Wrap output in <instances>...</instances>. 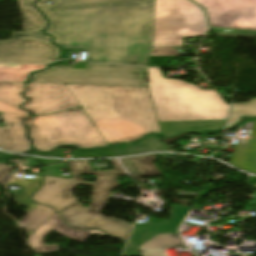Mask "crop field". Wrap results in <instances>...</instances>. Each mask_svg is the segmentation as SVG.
Wrapping results in <instances>:
<instances>
[{"label": "crop field", "mask_w": 256, "mask_h": 256, "mask_svg": "<svg viewBox=\"0 0 256 256\" xmlns=\"http://www.w3.org/2000/svg\"><path fill=\"white\" fill-rule=\"evenodd\" d=\"M123 256H142L139 252L133 250V245L128 244Z\"/></svg>", "instance_id": "crop-field-30"}, {"label": "crop field", "mask_w": 256, "mask_h": 256, "mask_svg": "<svg viewBox=\"0 0 256 256\" xmlns=\"http://www.w3.org/2000/svg\"><path fill=\"white\" fill-rule=\"evenodd\" d=\"M1 163H7V161L6 160H0V164Z\"/></svg>", "instance_id": "crop-field-34"}, {"label": "crop field", "mask_w": 256, "mask_h": 256, "mask_svg": "<svg viewBox=\"0 0 256 256\" xmlns=\"http://www.w3.org/2000/svg\"><path fill=\"white\" fill-rule=\"evenodd\" d=\"M13 170V167H6L0 165V185H5L6 182L11 178L12 174L10 172Z\"/></svg>", "instance_id": "crop-field-28"}, {"label": "crop field", "mask_w": 256, "mask_h": 256, "mask_svg": "<svg viewBox=\"0 0 256 256\" xmlns=\"http://www.w3.org/2000/svg\"><path fill=\"white\" fill-rule=\"evenodd\" d=\"M4 157H13V155H8V154L0 153V158H4Z\"/></svg>", "instance_id": "crop-field-33"}, {"label": "crop field", "mask_w": 256, "mask_h": 256, "mask_svg": "<svg viewBox=\"0 0 256 256\" xmlns=\"http://www.w3.org/2000/svg\"><path fill=\"white\" fill-rule=\"evenodd\" d=\"M30 154H33V155H43V156L63 157L62 154H61L60 149H56V150H54L51 153H39L38 151H34V152L30 153Z\"/></svg>", "instance_id": "crop-field-29"}, {"label": "crop field", "mask_w": 256, "mask_h": 256, "mask_svg": "<svg viewBox=\"0 0 256 256\" xmlns=\"http://www.w3.org/2000/svg\"><path fill=\"white\" fill-rule=\"evenodd\" d=\"M25 83H1L0 82V112H12L31 114L19 110V105L26 99L21 98Z\"/></svg>", "instance_id": "crop-field-16"}, {"label": "crop field", "mask_w": 256, "mask_h": 256, "mask_svg": "<svg viewBox=\"0 0 256 256\" xmlns=\"http://www.w3.org/2000/svg\"><path fill=\"white\" fill-rule=\"evenodd\" d=\"M34 5L51 23L45 33L62 49H87L86 61L148 65L154 0L52 9Z\"/></svg>", "instance_id": "crop-field-1"}, {"label": "crop field", "mask_w": 256, "mask_h": 256, "mask_svg": "<svg viewBox=\"0 0 256 256\" xmlns=\"http://www.w3.org/2000/svg\"><path fill=\"white\" fill-rule=\"evenodd\" d=\"M37 160L44 165L59 162V160H50V159H37Z\"/></svg>", "instance_id": "crop-field-32"}, {"label": "crop field", "mask_w": 256, "mask_h": 256, "mask_svg": "<svg viewBox=\"0 0 256 256\" xmlns=\"http://www.w3.org/2000/svg\"><path fill=\"white\" fill-rule=\"evenodd\" d=\"M207 22L189 0H155L152 47L183 46V38L203 36Z\"/></svg>", "instance_id": "crop-field-6"}, {"label": "crop field", "mask_w": 256, "mask_h": 256, "mask_svg": "<svg viewBox=\"0 0 256 256\" xmlns=\"http://www.w3.org/2000/svg\"><path fill=\"white\" fill-rule=\"evenodd\" d=\"M56 231L61 235L83 243L92 233L106 235L99 230H89L79 232L69 228L59 219V214H54L48 221H46L40 228H38L28 239V243L35 253L55 251L58 250V244L44 246L42 239L50 232Z\"/></svg>", "instance_id": "crop-field-12"}, {"label": "crop field", "mask_w": 256, "mask_h": 256, "mask_svg": "<svg viewBox=\"0 0 256 256\" xmlns=\"http://www.w3.org/2000/svg\"><path fill=\"white\" fill-rule=\"evenodd\" d=\"M27 125L31 140L38 150L49 151L66 144L81 148L107 146L81 107L46 116H34L28 120Z\"/></svg>", "instance_id": "crop-field-5"}, {"label": "crop field", "mask_w": 256, "mask_h": 256, "mask_svg": "<svg viewBox=\"0 0 256 256\" xmlns=\"http://www.w3.org/2000/svg\"><path fill=\"white\" fill-rule=\"evenodd\" d=\"M48 65L0 64L1 82H25L28 74Z\"/></svg>", "instance_id": "crop-field-19"}, {"label": "crop field", "mask_w": 256, "mask_h": 256, "mask_svg": "<svg viewBox=\"0 0 256 256\" xmlns=\"http://www.w3.org/2000/svg\"><path fill=\"white\" fill-rule=\"evenodd\" d=\"M146 226L147 225L134 226L129 243L134 245L135 251H138L139 246L144 242Z\"/></svg>", "instance_id": "crop-field-26"}, {"label": "crop field", "mask_w": 256, "mask_h": 256, "mask_svg": "<svg viewBox=\"0 0 256 256\" xmlns=\"http://www.w3.org/2000/svg\"><path fill=\"white\" fill-rule=\"evenodd\" d=\"M42 32H14L0 40V62L47 63L59 58V50Z\"/></svg>", "instance_id": "crop-field-9"}, {"label": "crop field", "mask_w": 256, "mask_h": 256, "mask_svg": "<svg viewBox=\"0 0 256 256\" xmlns=\"http://www.w3.org/2000/svg\"><path fill=\"white\" fill-rule=\"evenodd\" d=\"M77 154L81 158H95V157H111L115 156L111 148L109 149H91V150H80L76 149Z\"/></svg>", "instance_id": "crop-field-25"}, {"label": "crop field", "mask_w": 256, "mask_h": 256, "mask_svg": "<svg viewBox=\"0 0 256 256\" xmlns=\"http://www.w3.org/2000/svg\"><path fill=\"white\" fill-rule=\"evenodd\" d=\"M190 207H179V206H172L171 208V218L167 221H174V222H182L184 216L189 211Z\"/></svg>", "instance_id": "crop-field-27"}, {"label": "crop field", "mask_w": 256, "mask_h": 256, "mask_svg": "<svg viewBox=\"0 0 256 256\" xmlns=\"http://www.w3.org/2000/svg\"><path fill=\"white\" fill-rule=\"evenodd\" d=\"M145 73L146 68L120 65L86 64L85 69H75V66H53L31 75L29 82L146 87Z\"/></svg>", "instance_id": "crop-field-7"}, {"label": "crop field", "mask_w": 256, "mask_h": 256, "mask_svg": "<svg viewBox=\"0 0 256 256\" xmlns=\"http://www.w3.org/2000/svg\"><path fill=\"white\" fill-rule=\"evenodd\" d=\"M231 164L256 174V120L250 140H237Z\"/></svg>", "instance_id": "crop-field-15"}, {"label": "crop field", "mask_w": 256, "mask_h": 256, "mask_svg": "<svg viewBox=\"0 0 256 256\" xmlns=\"http://www.w3.org/2000/svg\"><path fill=\"white\" fill-rule=\"evenodd\" d=\"M36 0H19L24 31H42L47 21L33 7L31 3Z\"/></svg>", "instance_id": "crop-field-20"}, {"label": "crop field", "mask_w": 256, "mask_h": 256, "mask_svg": "<svg viewBox=\"0 0 256 256\" xmlns=\"http://www.w3.org/2000/svg\"><path fill=\"white\" fill-rule=\"evenodd\" d=\"M147 72L151 98L164 137L224 128L230 105L216 90L165 79L158 68H148Z\"/></svg>", "instance_id": "crop-field-3"}, {"label": "crop field", "mask_w": 256, "mask_h": 256, "mask_svg": "<svg viewBox=\"0 0 256 256\" xmlns=\"http://www.w3.org/2000/svg\"><path fill=\"white\" fill-rule=\"evenodd\" d=\"M124 1H136V0H56L53 8L77 6V5H88V4L124 2Z\"/></svg>", "instance_id": "crop-field-24"}, {"label": "crop field", "mask_w": 256, "mask_h": 256, "mask_svg": "<svg viewBox=\"0 0 256 256\" xmlns=\"http://www.w3.org/2000/svg\"><path fill=\"white\" fill-rule=\"evenodd\" d=\"M26 161L22 162L25 166H39L41 164L31 160V159H27V158H24Z\"/></svg>", "instance_id": "crop-field-31"}, {"label": "crop field", "mask_w": 256, "mask_h": 256, "mask_svg": "<svg viewBox=\"0 0 256 256\" xmlns=\"http://www.w3.org/2000/svg\"><path fill=\"white\" fill-rule=\"evenodd\" d=\"M29 102L22 106L34 115L50 114L80 106L65 84L28 83Z\"/></svg>", "instance_id": "crop-field-10"}, {"label": "crop field", "mask_w": 256, "mask_h": 256, "mask_svg": "<svg viewBox=\"0 0 256 256\" xmlns=\"http://www.w3.org/2000/svg\"><path fill=\"white\" fill-rule=\"evenodd\" d=\"M108 145L161 133L148 88L66 84Z\"/></svg>", "instance_id": "crop-field-2"}, {"label": "crop field", "mask_w": 256, "mask_h": 256, "mask_svg": "<svg viewBox=\"0 0 256 256\" xmlns=\"http://www.w3.org/2000/svg\"><path fill=\"white\" fill-rule=\"evenodd\" d=\"M181 223L163 222L160 225H148L145 242L158 233H177Z\"/></svg>", "instance_id": "crop-field-23"}, {"label": "crop field", "mask_w": 256, "mask_h": 256, "mask_svg": "<svg viewBox=\"0 0 256 256\" xmlns=\"http://www.w3.org/2000/svg\"><path fill=\"white\" fill-rule=\"evenodd\" d=\"M206 8L214 34L256 38V0H193Z\"/></svg>", "instance_id": "crop-field-8"}, {"label": "crop field", "mask_w": 256, "mask_h": 256, "mask_svg": "<svg viewBox=\"0 0 256 256\" xmlns=\"http://www.w3.org/2000/svg\"><path fill=\"white\" fill-rule=\"evenodd\" d=\"M111 161L116 170L91 171L89 161L67 162L76 184L94 186L93 196L91 205L86 208L76 202L59 212L72 227L77 229L100 228L113 236L127 240L132 224L99 214L108 205L111 190L119 186L116 175H126L116 159ZM82 172L97 175L96 181L94 183L79 181L77 176Z\"/></svg>", "instance_id": "crop-field-4"}, {"label": "crop field", "mask_w": 256, "mask_h": 256, "mask_svg": "<svg viewBox=\"0 0 256 256\" xmlns=\"http://www.w3.org/2000/svg\"><path fill=\"white\" fill-rule=\"evenodd\" d=\"M116 156L133 155L153 150H167L165 144L159 142L155 136L146 137L136 145H127L124 148H112Z\"/></svg>", "instance_id": "crop-field-21"}, {"label": "crop field", "mask_w": 256, "mask_h": 256, "mask_svg": "<svg viewBox=\"0 0 256 256\" xmlns=\"http://www.w3.org/2000/svg\"><path fill=\"white\" fill-rule=\"evenodd\" d=\"M168 247H183L177 234H159L143 244L140 250H144L143 256H163V249Z\"/></svg>", "instance_id": "crop-field-18"}, {"label": "crop field", "mask_w": 256, "mask_h": 256, "mask_svg": "<svg viewBox=\"0 0 256 256\" xmlns=\"http://www.w3.org/2000/svg\"><path fill=\"white\" fill-rule=\"evenodd\" d=\"M10 184H16L24 188L22 192H13L12 195L15 197L18 206H29L28 209L24 211L27 216L19 222L26 230L27 236L29 237L55 213L54 209L48 206L34 204L28 199L30 195L33 194L34 190L39 188L42 184V176H36L33 181L12 178L9 185Z\"/></svg>", "instance_id": "crop-field-11"}, {"label": "crop field", "mask_w": 256, "mask_h": 256, "mask_svg": "<svg viewBox=\"0 0 256 256\" xmlns=\"http://www.w3.org/2000/svg\"><path fill=\"white\" fill-rule=\"evenodd\" d=\"M241 116H255L256 117V98H252L251 102L238 103L233 105L228 127L239 122Z\"/></svg>", "instance_id": "crop-field-22"}, {"label": "crop field", "mask_w": 256, "mask_h": 256, "mask_svg": "<svg viewBox=\"0 0 256 256\" xmlns=\"http://www.w3.org/2000/svg\"><path fill=\"white\" fill-rule=\"evenodd\" d=\"M74 188V181L45 177V185L32 199L37 203L51 205L59 211L77 201L72 193Z\"/></svg>", "instance_id": "crop-field-13"}, {"label": "crop field", "mask_w": 256, "mask_h": 256, "mask_svg": "<svg viewBox=\"0 0 256 256\" xmlns=\"http://www.w3.org/2000/svg\"><path fill=\"white\" fill-rule=\"evenodd\" d=\"M120 160L132 178L161 175L154 163L156 160L153 155Z\"/></svg>", "instance_id": "crop-field-17"}, {"label": "crop field", "mask_w": 256, "mask_h": 256, "mask_svg": "<svg viewBox=\"0 0 256 256\" xmlns=\"http://www.w3.org/2000/svg\"><path fill=\"white\" fill-rule=\"evenodd\" d=\"M6 127L0 128L4 144L2 149L22 153L31 149L29 140L23 125V120L30 115H20L12 113H0Z\"/></svg>", "instance_id": "crop-field-14"}]
</instances>
